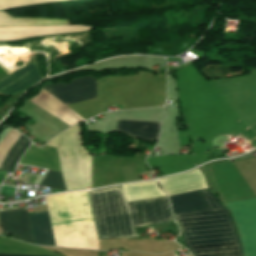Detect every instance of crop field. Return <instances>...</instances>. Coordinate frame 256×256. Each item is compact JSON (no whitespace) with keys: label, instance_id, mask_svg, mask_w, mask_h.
Here are the masks:
<instances>
[{"label":"crop field","instance_id":"8a807250","mask_svg":"<svg viewBox=\"0 0 256 256\" xmlns=\"http://www.w3.org/2000/svg\"><path fill=\"white\" fill-rule=\"evenodd\" d=\"M200 192L208 208L174 215L185 246L193 256H241L227 210L217 203L208 188ZM223 205L237 226L243 256H256V198Z\"/></svg>","mask_w":256,"mask_h":256},{"label":"crop field","instance_id":"ac0d7876","mask_svg":"<svg viewBox=\"0 0 256 256\" xmlns=\"http://www.w3.org/2000/svg\"><path fill=\"white\" fill-rule=\"evenodd\" d=\"M88 193L99 239L139 237L135 227L173 220L166 197L126 203L120 186Z\"/></svg>","mask_w":256,"mask_h":256},{"label":"crop field","instance_id":"34b2d1b8","mask_svg":"<svg viewBox=\"0 0 256 256\" xmlns=\"http://www.w3.org/2000/svg\"><path fill=\"white\" fill-rule=\"evenodd\" d=\"M56 245L98 248L87 193L46 199Z\"/></svg>","mask_w":256,"mask_h":256},{"label":"crop field","instance_id":"412701ff","mask_svg":"<svg viewBox=\"0 0 256 256\" xmlns=\"http://www.w3.org/2000/svg\"><path fill=\"white\" fill-rule=\"evenodd\" d=\"M58 151L67 190L91 188L90 155L84 149L78 125L47 144Z\"/></svg>","mask_w":256,"mask_h":256},{"label":"crop field","instance_id":"f4fd0767","mask_svg":"<svg viewBox=\"0 0 256 256\" xmlns=\"http://www.w3.org/2000/svg\"><path fill=\"white\" fill-rule=\"evenodd\" d=\"M66 105L96 98V78L73 79L71 84L43 87Z\"/></svg>","mask_w":256,"mask_h":256},{"label":"crop field","instance_id":"dd49c442","mask_svg":"<svg viewBox=\"0 0 256 256\" xmlns=\"http://www.w3.org/2000/svg\"><path fill=\"white\" fill-rule=\"evenodd\" d=\"M0 220L4 234L32 242L26 209L1 211Z\"/></svg>","mask_w":256,"mask_h":256},{"label":"crop field","instance_id":"e52e79f7","mask_svg":"<svg viewBox=\"0 0 256 256\" xmlns=\"http://www.w3.org/2000/svg\"><path fill=\"white\" fill-rule=\"evenodd\" d=\"M84 26H50V27H0V40H14L37 35L59 34L89 30Z\"/></svg>","mask_w":256,"mask_h":256},{"label":"crop field","instance_id":"d8731c3e","mask_svg":"<svg viewBox=\"0 0 256 256\" xmlns=\"http://www.w3.org/2000/svg\"><path fill=\"white\" fill-rule=\"evenodd\" d=\"M41 79L35 64L31 63L0 80V93L8 95L24 91Z\"/></svg>","mask_w":256,"mask_h":256},{"label":"crop field","instance_id":"5a996713","mask_svg":"<svg viewBox=\"0 0 256 256\" xmlns=\"http://www.w3.org/2000/svg\"><path fill=\"white\" fill-rule=\"evenodd\" d=\"M29 101L33 102L70 126L84 120L81 116L44 89Z\"/></svg>","mask_w":256,"mask_h":256},{"label":"crop field","instance_id":"3316defc","mask_svg":"<svg viewBox=\"0 0 256 256\" xmlns=\"http://www.w3.org/2000/svg\"><path fill=\"white\" fill-rule=\"evenodd\" d=\"M22 137L23 136L19 134L16 130L11 129V131L8 133L5 139L1 142L0 170L2 169L8 155L15 148V146L18 144V142L21 140ZM29 144H30V141L23 137L20 143L17 145V147L9 155L3 170L13 172L19 157L21 156V154L24 152V150L27 148Z\"/></svg>","mask_w":256,"mask_h":256},{"label":"crop field","instance_id":"28ad6ade","mask_svg":"<svg viewBox=\"0 0 256 256\" xmlns=\"http://www.w3.org/2000/svg\"><path fill=\"white\" fill-rule=\"evenodd\" d=\"M167 196L207 187L199 169L159 180Z\"/></svg>","mask_w":256,"mask_h":256},{"label":"crop field","instance_id":"d1516ede","mask_svg":"<svg viewBox=\"0 0 256 256\" xmlns=\"http://www.w3.org/2000/svg\"><path fill=\"white\" fill-rule=\"evenodd\" d=\"M28 217L34 244L55 246L47 211L29 215Z\"/></svg>","mask_w":256,"mask_h":256},{"label":"crop field","instance_id":"22f410ed","mask_svg":"<svg viewBox=\"0 0 256 256\" xmlns=\"http://www.w3.org/2000/svg\"><path fill=\"white\" fill-rule=\"evenodd\" d=\"M159 124L160 123L119 120L116 131L146 140H153L158 138Z\"/></svg>","mask_w":256,"mask_h":256},{"label":"crop field","instance_id":"cbeb9de0","mask_svg":"<svg viewBox=\"0 0 256 256\" xmlns=\"http://www.w3.org/2000/svg\"><path fill=\"white\" fill-rule=\"evenodd\" d=\"M121 187L127 202L165 196V194L157 187L156 181L123 185Z\"/></svg>","mask_w":256,"mask_h":256},{"label":"crop field","instance_id":"5142ce71","mask_svg":"<svg viewBox=\"0 0 256 256\" xmlns=\"http://www.w3.org/2000/svg\"><path fill=\"white\" fill-rule=\"evenodd\" d=\"M169 199L173 214L206 207L198 190L170 196Z\"/></svg>","mask_w":256,"mask_h":256},{"label":"crop field","instance_id":"d9b57169","mask_svg":"<svg viewBox=\"0 0 256 256\" xmlns=\"http://www.w3.org/2000/svg\"><path fill=\"white\" fill-rule=\"evenodd\" d=\"M44 25H69L68 20L62 19H30L16 18L0 11V26H44Z\"/></svg>","mask_w":256,"mask_h":256},{"label":"crop field","instance_id":"733c2abd","mask_svg":"<svg viewBox=\"0 0 256 256\" xmlns=\"http://www.w3.org/2000/svg\"><path fill=\"white\" fill-rule=\"evenodd\" d=\"M40 185L66 191L62 174L51 170L48 171L47 175L45 176L43 182Z\"/></svg>","mask_w":256,"mask_h":256},{"label":"crop field","instance_id":"4a817a6b","mask_svg":"<svg viewBox=\"0 0 256 256\" xmlns=\"http://www.w3.org/2000/svg\"><path fill=\"white\" fill-rule=\"evenodd\" d=\"M0 256H30V255H15V254H1Z\"/></svg>","mask_w":256,"mask_h":256}]
</instances>
